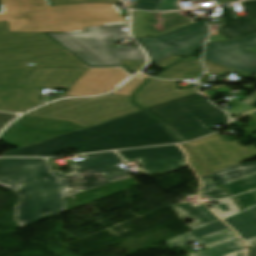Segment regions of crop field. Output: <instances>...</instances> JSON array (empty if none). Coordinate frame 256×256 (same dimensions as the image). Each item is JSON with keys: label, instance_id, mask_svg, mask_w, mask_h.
Returning <instances> with one entry per match:
<instances>
[{"label": "crop field", "instance_id": "8a807250", "mask_svg": "<svg viewBox=\"0 0 256 256\" xmlns=\"http://www.w3.org/2000/svg\"><path fill=\"white\" fill-rule=\"evenodd\" d=\"M167 128L141 111L79 132H70L3 156H53L67 148L82 153L177 143Z\"/></svg>", "mask_w": 256, "mask_h": 256}, {"label": "crop field", "instance_id": "ac0d7876", "mask_svg": "<svg viewBox=\"0 0 256 256\" xmlns=\"http://www.w3.org/2000/svg\"><path fill=\"white\" fill-rule=\"evenodd\" d=\"M10 31L62 32L85 31L84 27L128 22L115 5L76 4L50 7L47 0H0Z\"/></svg>", "mask_w": 256, "mask_h": 256}, {"label": "crop field", "instance_id": "34b2d1b8", "mask_svg": "<svg viewBox=\"0 0 256 256\" xmlns=\"http://www.w3.org/2000/svg\"><path fill=\"white\" fill-rule=\"evenodd\" d=\"M59 176L48 159H0V185L20 197L17 219L22 227L66 210L65 190L54 179Z\"/></svg>", "mask_w": 256, "mask_h": 256}, {"label": "crop field", "instance_id": "412701ff", "mask_svg": "<svg viewBox=\"0 0 256 256\" xmlns=\"http://www.w3.org/2000/svg\"><path fill=\"white\" fill-rule=\"evenodd\" d=\"M34 67L89 68L46 33L9 32L0 22V86L19 87Z\"/></svg>", "mask_w": 256, "mask_h": 256}, {"label": "crop field", "instance_id": "f4fd0767", "mask_svg": "<svg viewBox=\"0 0 256 256\" xmlns=\"http://www.w3.org/2000/svg\"><path fill=\"white\" fill-rule=\"evenodd\" d=\"M128 23L85 28L86 32L71 34H49L89 66L109 67L121 65L119 59L145 60L136 47H114L110 45L122 38H129L127 32H120Z\"/></svg>", "mask_w": 256, "mask_h": 256}, {"label": "crop field", "instance_id": "dd49c442", "mask_svg": "<svg viewBox=\"0 0 256 256\" xmlns=\"http://www.w3.org/2000/svg\"><path fill=\"white\" fill-rule=\"evenodd\" d=\"M145 110L161 120L181 142L215 132L210 130L214 122L228 121L225 112L198 93Z\"/></svg>", "mask_w": 256, "mask_h": 256}, {"label": "crop field", "instance_id": "e52e79f7", "mask_svg": "<svg viewBox=\"0 0 256 256\" xmlns=\"http://www.w3.org/2000/svg\"><path fill=\"white\" fill-rule=\"evenodd\" d=\"M137 111L140 109L132 104L131 97L109 94L57 101L25 115L71 122L86 128Z\"/></svg>", "mask_w": 256, "mask_h": 256}, {"label": "crop field", "instance_id": "d8731c3e", "mask_svg": "<svg viewBox=\"0 0 256 256\" xmlns=\"http://www.w3.org/2000/svg\"><path fill=\"white\" fill-rule=\"evenodd\" d=\"M87 69L34 68L19 88L0 87V111L22 113L44 101H37L42 87L70 89Z\"/></svg>", "mask_w": 256, "mask_h": 256}, {"label": "crop field", "instance_id": "5a996713", "mask_svg": "<svg viewBox=\"0 0 256 256\" xmlns=\"http://www.w3.org/2000/svg\"><path fill=\"white\" fill-rule=\"evenodd\" d=\"M204 20L182 27L159 37L135 38L148 52L152 63L173 54L187 56L199 50L208 35Z\"/></svg>", "mask_w": 256, "mask_h": 256}, {"label": "crop field", "instance_id": "3316defc", "mask_svg": "<svg viewBox=\"0 0 256 256\" xmlns=\"http://www.w3.org/2000/svg\"><path fill=\"white\" fill-rule=\"evenodd\" d=\"M184 146L204 165L210 174L256 157L255 147L241 148L238 141L230 143L217 134L186 143Z\"/></svg>", "mask_w": 256, "mask_h": 256}, {"label": "crop field", "instance_id": "28ad6ade", "mask_svg": "<svg viewBox=\"0 0 256 256\" xmlns=\"http://www.w3.org/2000/svg\"><path fill=\"white\" fill-rule=\"evenodd\" d=\"M256 47V35L244 39L208 43L204 59L249 75L256 74V54L245 49Z\"/></svg>", "mask_w": 256, "mask_h": 256}, {"label": "crop field", "instance_id": "d1516ede", "mask_svg": "<svg viewBox=\"0 0 256 256\" xmlns=\"http://www.w3.org/2000/svg\"><path fill=\"white\" fill-rule=\"evenodd\" d=\"M118 153L127 161L138 159L145 170L150 173L170 172L187 166L183 152L176 145L120 151Z\"/></svg>", "mask_w": 256, "mask_h": 256}, {"label": "crop field", "instance_id": "22f410ed", "mask_svg": "<svg viewBox=\"0 0 256 256\" xmlns=\"http://www.w3.org/2000/svg\"><path fill=\"white\" fill-rule=\"evenodd\" d=\"M131 76L122 69H88L67 92L69 96H93L108 92Z\"/></svg>", "mask_w": 256, "mask_h": 256}, {"label": "crop field", "instance_id": "cbeb9de0", "mask_svg": "<svg viewBox=\"0 0 256 256\" xmlns=\"http://www.w3.org/2000/svg\"><path fill=\"white\" fill-rule=\"evenodd\" d=\"M193 93H196L194 88L177 90L174 81L151 78L135 93L134 103L145 109Z\"/></svg>", "mask_w": 256, "mask_h": 256}, {"label": "crop field", "instance_id": "5142ce71", "mask_svg": "<svg viewBox=\"0 0 256 256\" xmlns=\"http://www.w3.org/2000/svg\"><path fill=\"white\" fill-rule=\"evenodd\" d=\"M85 160L70 164L73 171L77 172L94 166L110 182L124 178L128 172L118 165L124 163L114 152L87 154L82 156Z\"/></svg>", "mask_w": 256, "mask_h": 256}, {"label": "crop field", "instance_id": "d9b57169", "mask_svg": "<svg viewBox=\"0 0 256 256\" xmlns=\"http://www.w3.org/2000/svg\"><path fill=\"white\" fill-rule=\"evenodd\" d=\"M241 5L245 6L249 17L233 19L229 8H223L225 25L218 31L227 40H235L256 33V0L241 2Z\"/></svg>", "mask_w": 256, "mask_h": 256}, {"label": "crop field", "instance_id": "733c2abd", "mask_svg": "<svg viewBox=\"0 0 256 256\" xmlns=\"http://www.w3.org/2000/svg\"><path fill=\"white\" fill-rule=\"evenodd\" d=\"M59 187L66 190V196L82 192L101 184L109 183L94 167L56 178Z\"/></svg>", "mask_w": 256, "mask_h": 256}, {"label": "crop field", "instance_id": "4a817a6b", "mask_svg": "<svg viewBox=\"0 0 256 256\" xmlns=\"http://www.w3.org/2000/svg\"><path fill=\"white\" fill-rule=\"evenodd\" d=\"M256 173V162L246 164H236L222 171L212 174L214 179L223 185L225 183L237 180L239 178ZM203 181V187L201 193L218 187L217 183L212 179L210 175L201 177ZM200 193V194H201Z\"/></svg>", "mask_w": 256, "mask_h": 256}, {"label": "crop field", "instance_id": "bc2a9ffb", "mask_svg": "<svg viewBox=\"0 0 256 256\" xmlns=\"http://www.w3.org/2000/svg\"><path fill=\"white\" fill-rule=\"evenodd\" d=\"M204 72L200 59L194 56L187 57L177 64L167 68L157 75L159 79H184L197 78Z\"/></svg>", "mask_w": 256, "mask_h": 256}, {"label": "crop field", "instance_id": "214f88e0", "mask_svg": "<svg viewBox=\"0 0 256 256\" xmlns=\"http://www.w3.org/2000/svg\"><path fill=\"white\" fill-rule=\"evenodd\" d=\"M173 208L180 218H191L196 221L195 223L188 225L193 229L218 220V218L214 216L204 205L195 208L191 203L185 205L177 204L173 205Z\"/></svg>", "mask_w": 256, "mask_h": 256}, {"label": "crop field", "instance_id": "92a150f3", "mask_svg": "<svg viewBox=\"0 0 256 256\" xmlns=\"http://www.w3.org/2000/svg\"><path fill=\"white\" fill-rule=\"evenodd\" d=\"M235 236L236 235L234 234V232L230 228H228V229L216 232L214 234H211V235L199 238V239H197L194 236H192L191 234L187 233V234L181 235L179 237L173 238L169 241H166V243L170 249L193 242V241H197L202 246H206V245H209V244L221 241V240L233 238Z\"/></svg>", "mask_w": 256, "mask_h": 256}, {"label": "crop field", "instance_id": "dafd665d", "mask_svg": "<svg viewBox=\"0 0 256 256\" xmlns=\"http://www.w3.org/2000/svg\"><path fill=\"white\" fill-rule=\"evenodd\" d=\"M243 250H244V246L242 242L238 238H236V239L215 244L209 247L207 250H203L197 253H192L188 256H230L232 254H235Z\"/></svg>", "mask_w": 256, "mask_h": 256}, {"label": "crop field", "instance_id": "00972430", "mask_svg": "<svg viewBox=\"0 0 256 256\" xmlns=\"http://www.w3.org/2000/svg\"><path fill=\"white\" fill-rule=\"evenodd\" d=\"M243 240L256 236V226L242 213L224 219Z\"/></svg>", "mask_w": 256, "mask_h": 256}, {"label": "crop field", "instance_id": "a9b5d70f", "mask_svg": "<svg viewBox=\"0 0 256 256\" xmlns=\"http://www.w3.org/2000/svg\"><path fill=\"white\" fill-rule=\"evenodd\" d=\"M222 187L232 195L255 190L256 174L228 183Z\"/></svg>", "mask_w": 256, "mask_h": 256}, {"label": "crop field", "instance_id": "4177f3b9", "mask_svg": "<svg viewBox=\"0 0 256 256\" xmlns=\"http://www.w3.org/2000/svg\"><path fill=\"white\" fill-rule=\"evenodd\" d=\"M217 203L219 205L211 206V209L215 211L221 218L240 212V209L238 208L233 198L221 200Z\"/></svg>", "mask_w": 256, "mask_h": 256}, {"label": "crop field", "instance_id": "730fd06b", "mask_svg": "<svg viewBox=\"0 0 256 256\" xmlns=\"http://www.w3.org/2000/svg\"><path fill=\"white\" fill-rule=\"evenodd\" d=\"M228 228V226H226L225 224H223L220 220L213 222L211 224H208L206 226H203L201 228H198L192 232H190L192 235H194L195 237L199 238L208 234H211L213 232L222 230Z\"/></svg>", "mask_w": 256, "mask_h": 256}, {"label": "crop field", "instance_id": "eef30255", "mask_svg": "<svg viewBox=\"0 0 256 256\" xmlns=\"http://www.w3.org/2000/svg\"><path fill=\"white\" fill-rule=\"evenodd\" d=\"M136 77V76H135ZM146 78L143 77H139L137 76L136 78H134L132 81H130L128 84H126L125 86H123L122 88H120L119 90H117L116 92L112 93V94H116V95H125V96H131L132 92L138 87L140 86L143 81Z\"/></svg>", "mask_w": 256, "mask_h": 256}, {"label": "crop field", "instance_id": "ae1a2a85", "mask_svg": "<svg viewBox=\"0 0 256 256\" xmlns=\"http://www.w3.org/2000/svg\"><path fill=\"white\" fill-rule=\"evenodd\" d=\"M53 5H66V4H75V3H112V4H120L119 0H51ZM51 4V5H52Z\"/></svg>", "mask_w": 256, "mask_h": 256}, {"label": "crop field", "instance_id": "d3111659", "mask_svg": "<svg viewBox=\"0 0 256 256\" xmlns=\"http://www.w3.org/2000/svg\"><path fill=\"white\" fill-rule=\"evenodd\" d=\"M252 195H251V193H247V194H242L240 196L235 197V199L239 203L242 210L256 205V200L254 199V197ZM245 204H247V205H245Z\"/></svg>", "mask_w": 256, "mask_h": 256}, {"label": "crop field", "instance_id": "750c4746", "mask_svg": "<svg viewBox=\"0 0 256 256\" xmlns=\"http://www.w3.org/2000/svg\"><path fill=\"white\" fill-rule=\"evenodd\" d=\"M160 0H136L132 8L155 11Z\"/></svg>", "mask_w": 256, "mask_h": 256}, {"label": "crop field", "instance_id": "bd1437ed", "mask_svg": "<svg viewBox=\"0 0 256 256\" xmlns=\"http://www.w3.org/2000/svg\"><path fill=\"white\" fill-rule=\"evenodd\" d=\"M204 64L207 68V72L212 73V74H216L219 76H223L225 74H227V72L231 69L205 61L204 60Z\"/></svg>", "mask_w": 256, "mask_h": 256}, {"label": "crop field", "instance_id": "1d83c4d3", "mask_svg": "<svg viewBox=\"0 0 256 256\" xmlns=\"http://www.w3.org/2000/svg\"><path fill=\"white\" fill-rule=\"evenodd\" d=\"M178 1H183V0H161L156 11L180 9L179 7L180 4L178 5ZM189 1H195V0H189Z\"/></svg>", "mask_w": 256, "mask_h": 256}, {"label": "crop field", "instance_id": "120bbe31", "mask_svg": "<svg viewBox=\"0 0 256 256\" xmlns=\"http://www.w3.org/2000/svg\"><path fill=\"white\" fill-rule=\"evenodd\" d=\"M181 147L187 152L188 154V161L196 171L199 177L207 175L208 173L206 170L201 166V164L181 145Z\"/></svg>", "mask_w": 256, "mask_h": 256}, {"label": "crop field", "instance_id": "d32e631a", "mask_svg": "<svg viewBox=\"0 0 256 256\" xmlns=\"http://www.w3.org/2000/svg\"><path fill=\"white\" fill-rule=\"evenodd\" d=\"M121 62L123 66L134 74L143 67L146 61L121 60Z\"/></svg>", "mask_w": 256, "mask_h": 256}, {"label": "crop field", "instance_id": "5866460e", "mask_svg": "<svg viewBox=\"0 0 256 256\" xmlns=\"http://www.w3.org/2000/svg\"><path fill=\"white\" fill-rule=\"evenodd\" d=\"M200 196H209V197H212L213 199H222V198L230 197V195H228L220 187L213 189L211 191H208L206 193H203Z\"/></svg>", "mask_w": 256, "mask_h": 256}, {"label": "crop field", "instance_id": "028f5c9d", "mask_svg": "<svg viewBox=\"0 0 256 256\" xmlns=\"http://www.w3.org/2000/svg\"><path fill=\"white\" fill-rule=\"evenodd\" d=\"M179 59H181V57L173 55V56H171V57H169V58H167V59H165V60L155 64V65H157L158 67L164 69L165 67L171 65L173 62H175V61H177Z\"/></svg>", "mask_w": 256, "mask_h": 256}, {"label": "crop field", "instance_id": "e1f06a70", "mask_svg": "<svg viewBox=\"0 0 256 256\" xmlns=\"http://www.w3.org/2000/svg\"><path fill=\"white\" fill-rule=\"evenodd\" d=\"M16 117L17 116H14V115L0 113V125H3V126H0V129L6 126L8 123H10Z\"/></svg>", "mask_w": 256, "mask_h": 256}, {"label": "crop field", "instance_id": "0bd39190", "mask_svg": "<svg viewBox=\"0 0 256 256\" xmlns=\"http://www.w3.org/2000/svg\"><path fill=\"white\" fill-rule=\"evenodd\" d=\"M245 213L256 224V207L245 211Z\"/></svg>", "mask_w": 256, "mask_h": 256}, {"label": "crop field", "instance_id": "b80d0937", "mask_svg": "<svg viewBox=\"0 0 256 256\" xmlns=\"http://www.w3.org/2000/svg\"><path fill=\"white\" fill-rule=\"evenodd\" d=\"M255 101H256V91H254L251 95H249L243 102L248 103V104H252Z\"/></svg>", "mask_w": 256, "mask_h": 256}, {"label": "crop field", "instance_id": "c035e120", "mask_svg": "<svg viewBox=\"0 0 256 256\" xmlns=\"http://www.w3.org/2000/svg\"><path fill=\"white\" fill-rule=\"evenodd\" d=\"M245 243H246L247 247H251V246L256 245V237L245 240Z\"/></svg>", "mask_w": 256, "mask_h": 256}, {"label": "crop field", "instance_id": "c21b1889", "mask_svg": "<svg viewBox=\"0 0 256 256\" xmlns=\"http://www.w3.org/2000/svg\"><path fill=\"white\" fill-rule=\"evenodd\" d=\"M247 256H256V247L249 249L247 252Z\"/></svg>", "mask_w": 256, "mask_h": 256}, {"label": "crop field", "instance_id": "03da06ac", "mask_svg": "<svg viewBox=\"0 0 256 256\" xmlns=\"http://www.w3.org/2000/svg\"><path fill=\"white\" fill-rule=\"evenodd\" d=\"M219 2V4H222V3H228V2H234L236 0H217Z\"/></svg>", "mask_w": 256, "mask_h": 256}, {"label": "crop field", "instance_id": "b54c1fbb", "mask_svg": "<svg viewBox=\"0 0 256 256\" xmlns=\"http://www.w3.org/2000/svg\"><path fill=\"white\" fill-rule=\"evenodd\" d=\"M232 256H244V252H240V253L232 255Z\"/></svg>", "mask_w": 256, "mask_h": 256}, {"label": "crop field", "instance_id": "5d738f31", "mask_svg": "<svg viewBox=\"0 0 256 256\" xmlns=\"http://www.w3.org/2000/svg\"><path fill=\"white\" fill-rule=\"evenodd\" d=\"M249 50H251V51L256 53V48H250Z\"/></svg>", "mask_w": 256, "mask_h": 256}, {"label": "crop field", "instance_id": "d23c7cc5", "mask_svg": "<svg viewBox=\"0 0 256 256\" xmlns=\"http://www.w3.org/2000/svg\"><path fill=\"white\" fill-rule=\"evenodd\" d=\"M252 194H253V196L255 197V199H256V192H252Z\"/></svg>", "mask_w": 256, "mask_h": 256}, {"label": "crop field", "instance_id": "425ffa30", "mask_svg": "<svg viewBox=\"0 0 256 256\" xmlns=\"http://www.w3.org/2000/svg\"><path fill=\"white\" fill-rule=\"evenodd\" d=\"M254 76H256V75H254Z\"/></svg>", "mask_w": 256, "mask_h": 256}]
</instances>
